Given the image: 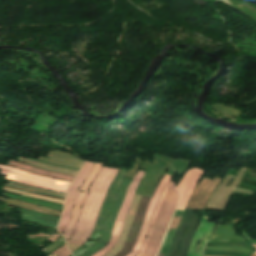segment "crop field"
<instances>
[{
  "label": "crop field",
  "mask_w": 256,
  "mask_h": 256,
  "mask_svg": "<svg viewBox=\"0 0 256 256\" xmlns=\"http://www.w3.org/2000/svg\"><path fill=\"white\" fill-rule=\"evenodd\" d=\"M202 174V170L195 168L188 170L176 189L173 186V182H169L157 205L146 243L137 256H156L174 209H184L192 190Z\"/></svg>",
  "instance_id": "1"
},
{
  "label": "crop field",
  "mask_w": 256,
  "mask_h": 256,
  "mask_svg": "<svg viewBox=\"0 0 256 256\" xmlns=\"http://www.w3.org/2000/svg\"><path fill=\"white\" fill-rule=\"evenodd\" d=\"M118 170L103 167L90 188L89 195L83 204L77 227L67 244L72 251L84 244L89 238L98 211L102 205L106 190ZM73 253V252H72Z\"/></svg>",
  "instance_id": "2"
},
{
  "label": "crop field",
  "mask_w": 256,
  "mask_h": 256,
  "mask_svg": "<svg viewBox=\"0 0 256 256\" xmlns=\"http://www.w3.org/2000/svg\"><path fill=\"white\" fill-rule=\"evenodd\" d=\"M0 169L1 174L6 175L5 179L22 184H28L64 193H66V190L70 185L69 182L33 175L14 167L0 165Z\"/></svg>",
  "instance_id": "3"
},
{
  "label": "crop field",
  "mask_w": 256,
  "mask_h": 256,
  "mask_svg": "<svg viewBox=\"0 0 256 256\" xmlns=\"http://www.w3.org/2000/svg\"><path fill=\"white\" fill-rule=\"evenodd\" d=\"M143 175H144V172H140V171H138V173L136 174L134 180L132 181V183L130 184V186L127 190L124 203H123V205L119 211V214L117 216V219H116V222H115V225H114V228H113V231L110 236L108 244L104 248H102L98 252H96L93 256H102L107 251H109L111 248H113L114 244L117 242L123 222L125 220V217H126V214H127L128 208H129V205L131 203L134 191Z\"/></svg>",
  "instance_id": "4"
},
{
  "label": "crop field",
  "mask_w": 256,
  "mask_h": 256,
  "mask_svg": "<svg viewBox=\"0 0 256 256\" xmlns=\"http://www.w3.org/2000/svg\"><path fill=\"white\" fill-rule=\"evenodd\" d=\"M171 177L172 176L164 175L163 179L161 180L160 184L158 185V187L150 201V204L148 206V209H147L146 215L144 217L142 226L140 228L138 237L136 239L135 245H134L131 253L127 256H136L139 253V251L141 250V248L143 247V245L145 243L146 235H147V232H148V229L150 226L153 212L156 208V205L162 195V192H163L165 186L170 181Z\"/></svg>",
  "instance_id": "5"
},
{
  "label": "crop field",
  "mask_w": 256,
  "mask_h": 256,
  "mask_svg": "<svg viewBox=\"0 0 256 256\" xmlns=\"http://www.w3.org/2000/svg\"><path fill=\"white\" fill-rule=\"evenodd\" d=\"M129 183H130V180L125 178L124 181L122 182L121 186L119 187V192L117 191L118 192L117 197H116V199L113 203V206L111 208V211L106 219V224L104 226L103 235H102L100 241L94 247L89 249L87 252H85L81 256H91L94 252L99 250L101 247H103L107 243L111 229H112L114 219H115L117 211L122 203L123 197L125 195V192H126V189L129 185ZM101 240H103L104 243L100 244Z\"/></svg>",
  "instance_id": "6"
},
{
  "label": "crop field",
  "mask_w": 256,
  "mask_h": 256,
  "mask_svg": "<svg viewBox=\"0 0 256 256\" xmlns=\"http://www.w3.org/2000/svg\"><path fill=\"white\" fill-rule=\"evenodd\" d=\"M102 165L99 164H95L94 167L92 168V170L90 171V173L88 174L85 182L83 183V185L81 186L80 190L84 191V193H80V190L74 200V204H73V210H72V215H71V219L70 222L63 234L65 240H67L72 232L73 229L76 225L77 219L79 217L80 214V209H81V205L87 195V190L92 182V180L96 177L97 173L99 172V170L101 169Z\"/></svg>",
  "instance_id": "7"
},
{
  "label": "crop field",
  "mask_w": 256,
  "mask_h": 256,
  "mask_svg": "<svg viewBox=\"0 0 256 256\" xmlns=\"http://www.w3.org/2000/svg\"><path fill=\"white\" fill-rule=\"evenodd\" d=\"M221 181V178L215 177L213 181L203 177L198 186L194 189L191 198L185 209H203L210 194Z\"/></svg>",
  "instance_id": "8"
},
{
  "label": "crop field",
  "mask_w": 256,
  "mask_h": 256,
  "mask_svg": "<svg viewBox=\"0 0 256 256\" xmlns=\"http://www.w3.org/2000/svg\"><path fill=\"white\" fill-rule=\"evenodd\" d=\"M93 165H94V163L87 162V161L85 162V164L82 166L80 172L76 176L74 182L72 183V185L67 193L63 214H62V217H61L59 225H58V229H59L60 233L63 232V230L68 222L72 203H73V200L77 193V189L79 188L81 182L86 177V175L88 174V172L90 171V169L92 168Z\"/></svg>",
  "instance_id": "9"
},
{
  "label": "crop field",
  "mask_w": 256,
  "mask_h": 256,
  "mask_svg": "<svg viewBox=\"0 0 256 256\" xmlns=\"http://www.w3.org/2000/svg\"><path fill=\"white\" fill-rule=\"evenodd\" d=\"M127 169L125 168H120L118 174L116 175L109 191H108V194L106 196V199L103 203V206H102V209L100 211V214H99V217H98V220H97V224H96V227H95V230L93 232V235L91 237V239H96L97 237H100L102 231H103V224H104V220L110 210V207L114 201V197H115V193H116V190L125 174Z\"/></svg>",
  "instance_id": "10"
},
{
  "label": "crop field",
  "mask_w": 256,
  "mask_h": 256,
  "mask_svg": "<svg viewBox=\"0 0 256 256\" xmlns=\"http://www.w3.org/2000/svg\"><path fill=\"white\" fill-rule=\"evenodd\" d=\"M142 197L143 196H139V195H135L134 200L132 202V205L130 207V210L128 212V215L126 217L125 223L123 225L119 240L117 242V244L115 245V247L113 249H111L106 255L104 256H114L116 255L120 249L123 247L125 240L128 236L132 221L135 217V214L139 208V205L142 201Z\"/></svg>",
  "instance_id": "11"
},
{
  "label": "crop field",
  "mask_w": 256,
  "mask_h": 256,
  "mask_svg": "<svg viewBox=\"0 0 256 256\" xmlns=\"http://www.w3.org/2000/svg\"><path fill=\"white\" fill-rule=\"evenodd\" d=\"M214 223L207 222V217L202 216V219L200 221L199 227L193 237L191 246L189 248L187 256H201L202 255V248L204 245V242L210 237ZM215 228V227H214ZM201 243L199 244L198 251L195 254V248H196V243L198 240L202 239Z\"/></svg>",
  "instance_id": "12"
},
{
  "label": "crop field",
  "mask_w": 256,
  "mask_h": 256,
  "mask_svg": "<svg viewBox=\"0 0 256 256\" xmlns=\"http://www.w3.org/2000/svg\"><path fill=\"white\" fill-rule=\"evenodd\" d=\"M21 217L25 221L35 222L56 229L60 218L21 209Z\"/></svg>",
  "instance_id": "13"
},
{
  "label": "crop field",
  "mask_w": 256,
  "mask_h": 256,
  "mask_svg": "<svg viewBox=\"0 0 256 256\" xmlns=\"http://www.w3.org/2000/svg\"><path fill=\"white\" fill-rule=\"evenodd\" d=\"M181 213H182V211H179V210L175 211L174 216L169 225V228L164 236L163 244H162V247L160 249V253L158 256H166L167 255L171 237L180 221Z\"/></svg>",
  "instance_id": "14"
},
{
  "label": "crop field",
  "mask_w": 256,
  "mask_h": 256,
  "mask_svg": "<svg viewBox=\"0 0 256 256\" xmlns=\"http://www.w3.org/2000/svg\"><path fill=\"white\" fill-rule=\"evenodd\" d=\"M9 165H13V166H17L19 168H22L24 170H27L29 172H32L34 174H38V175H43V176H47V177H52V178H58V179H63V180H69L72 181L73 177L71 176H66V175H61V174H56V173H51V172H47L26 164H22V163H18V162H14V161H9L8 163Z\"/></svg>",
  "instance_id": "15"
},
{
  "label": "crop field",
  "mask_w": 256,
  "mask_h": 256,
  "mask_svg": "<svg viewBox=\"0 0 256 256\" xmlns=\"http://www.w3.org/2000/svg\"><path fill=\"white\" fill-rule=\"evenodd\" d=\"M6 185L16 187V188H19V189H23V190H27V191H31V192H35V193H40V194L52 196V197L62 198V199H64V196H65L64 194L51 192V191H47V190H43V189H39V188H34V187H30V186L10 182V181Z\"/></svg>",
  "instance_id": "16"
},
{
  "label": "crop field",
  "mask_w": 256,
  "mask_h": 256,
  "mask_svg": "<svg viewBox=\"0 0 256 256\" xmlns=\"http://www.w3.org/2000/svg\"><path fill=\"white\" fill-rule=\"evenodd\" d=\"M229 229V230H223ZM215 234L236 235L235 225H218Z\"/></svg>",
  "instance_id": "17"
},
{
  "label": "crop field",
  "mask_w": 256,
  "mask_h": 256,
  "mask_svg": "<svg viewBox=\"0 0 256 256\" xmlns=\"http://www.w3.org/2000/svg\"><path fill=\"white\" fill-rule=\"evenodd\" d=\"M205 249H213V250H225V251H239V252H244L251 254L252 251L246 248H241V247H215V246H206Z\"/></svg>",
  "instance_id": "18"
},
{
  "label": "crop field",
  "mask_w": 256,
  "mask_h": 256,
  "mask_svg": "<svg viewBox=\"0 0 256 256\" xmlns=\"http://www.w3.org/2000/svg\"><path fill=\"white\" fill-rule=\"evenodd\" d=\"M53 253L59 256H68L69 254H71L65 244L61 248L54 251Z\"/></svg>",
  "instance_id": "19"
},
{
  "label": "crop field",
  "mask_w": 256,
  "mask_h": 256,
  "mask_svg": "<svg viewBox=\"0 0 256 256\" xmlns=\"http://www.w3.org/2000/svg\"><path fill=\"white\" fill-rule=\"evenodd\" d=\"M97 242H87L84 246H82L79 250H77L75 253H73V256H80L83 252H85L87 249H89L91 246H93ZM87 246L85 249L84 247Z\"/></svg>",
  "instance_id": "20"
},
{
  "label": "crop field",
  "mask_w": 256,
  "mask_h": 256,
  "mask_svg": "<svg viewBox=\"0 0 256 256\" xmlns=\"http://www.w3.org/2000/svg\"><path fill=\"white\" fill-rule=\"evenodd\" d=\"M211 239H238L243 240L245 239L242 236H222V235H214Z\"/></svg>",
  "instance_id": "21"
},
{
  "label": "crop field",
  "mask_w": 256,
  "mask_h": 256,
  "mask_svg": "<svg viewBox=\"0 0 256 256\" xmlns=\"http://www.w3.org/2000/svg\"><path fill=\"white\" fill-rule=\"evenodd\" d=\"M243 234L248 239L249 242L256 243V240H253V239H251L250 237L247 236L245 229L243 230Z\"/></svg>",
  "instance_id": "22"
},
{
  "label": "crop field",
  "mask_w": 256,
  "mask_h": 256,
  "mask_svg": "<svg viewBox=\"0 0 256 256\" xmlns=\"http://www.w3.org/2000/svg\"><path fill=\"white\" fill-rule=\"evenodd\" d=\"M250 244L256 249V245L255 244H252V243H250ZM254 254H256V251H255Z\"/></svg>",
  "instance_id": "23"
},
{
  "label": "crop field",
  "mask_w": 256,
  "mask_h": 256,
  "mask_svg": "<svg viewBox=\"0 0 256 256\" xmlns=\"http://www.w3.org/2000/svg\"><path fill=\"white\" fill-rule=\"evenodd\" d=\"M70 256H72V255H70Z\"/></svg>",
  "instance_id": "24"
},
{
  "label": "crop field",
  "mask_w": 256,
  "mask_h": 256,
  "mask_svg": "<svg viewBox=\"0 0 256 256\" xmlns=\"http://www.w3.org/2000/svg\"><path fill=\"white\" fill-rule=\"evenodd\" d=\"M253 256V255H252Z\"/></svg>",
  "instance_id": "25"
}]
</instances>
